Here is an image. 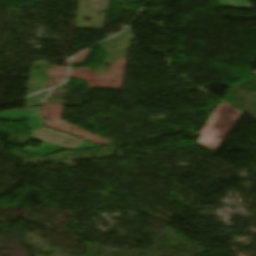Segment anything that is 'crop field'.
<instances>
[{
  "label": "crop field",
  "instance_id": "2",
  "mask_svg": "<svg viewBox=\"0 0 256 256\" xmlns=\"http://www.w3.org/2000/svg\"><path fill=\"white\" fill-rule=\"evenodd\" d=\"M242 115L240 110L232 108L230 104H220L200 131L201 138L197 143L211 151L220 148Z\"/></svg>",
  "mask_w": 256,
  "mask_h": 256
},
{
  "label": "crop field",
  "instance_id": "3",
  "mask_svg": "<svg viewBox=\"0 0 256 256\" xmlns=\"http://www.w3.org/2000/svg\"><path fill=\"white\" fill-rule=\"evenodd\" d=\"M221 6L232 7L230 0H219ZM235 8L251 9L248 0H232Z\"/></svg>",
  "mask_w": 256,
  "mask_h": 256
},
{
  "label": "crop field",
  "instance_id": "1",
  "mask_svg": "<svg viewBox=\"0 0 256 256\" xmlns=\"http://www.w3.org/2000/svg\"><path fill=\"white\" fill-rule=\"evenodd\" d=\"M30 112H33V114H30ZM6 118H11L12 120L27 119L29 127L34 129L31 134L32 139L44 142L40 148L27 147L22 152L45 156L62 149L79 150L102 147L42 127L44 122L38 108L28 111L12 110L0 114V119Z\"/></svg>",
  "mask_w": 256,
  "mask_h": 256
}]
</instances>
